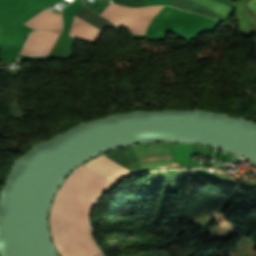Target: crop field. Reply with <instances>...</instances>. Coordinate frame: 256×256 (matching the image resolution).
Masks as SVG:
<instances>
[{"label": "crop field", "mask_w": 256, "mask_h": 256, "mask_svg": "<svg viewBox=\"0 0 256 256\" xmlns=\"http://www.w3.org/2000/svg\"><path fill=\"white\" fill-rule=\"evenodd\" d=\"M111 184L81 166L61 187L50 222L55 245L62 256L100 253L91 234L89 215L95 201Z\"/></svg>", "instance_id": "obj_1"}, {"label": "crop field", "mask_w": 256, "mask_h": 256, "mask_svg": "<svg viewBox=\"0 0 256 256\" xmlns=\"http://www.w3.org/2000/svg\"><path fill=\"white\" fill-rule=\"evenodd\" d=\"M105 156L134 173L143 171L131 147L110 152L105 154ZM105 156L101 155L82 166L94 171L110 182L113 179L130 172Z\"/></svg>", "instance_id": "obj_2"}, {"label": "crop field", "mask_w": 256, "mask_h": 256, "mask_svg": "<svg viewBox=\"0 0 256 256\" xmlns=\"http://www.w3.org/2000/svg\"><path fill=\"white\" fill-rule=\"evenodd\" d=\"M144 170L172 167V143L132 146Z\"/></svg>", "instance_id": "obj_3"}, {"label": "crop field", "mask_w": 256, "mask_h": 256, "mask_svg": "<svg viewBox=\"0 0 256 256\" xmlns=\"http://www.w3.org/2000/svg\"><path fill=\"white\" fill-rule=\"evenodd\" d=\"M161 7L162 6H151L148 11L146 10L147 12L129 32L130 35L144 34L148 23ZM131 10L132 8L110 3L99 15L112 21L115 25H118Z\"/></svg>", "instance_id": "obj_4"}, {"label": "crop field", "mask_w": 256, "mask_h": 256, "mask_svg": "<svg viewBox=\"0 0 256 256\" xmlns=\"http://www.w3.org/2000/svg\"><path fill=\"white\" fill-rule=\"evenodd\" d=\"M57 36V33L49 31H34L30 34L22 53L27 55L45 56L48 54Z\"/></svg>", "instance_id": "obj_5"}, {"label": "crop field", "mask_w": 256, "mask_h": 256, "mask_svg": "<svg viewBox=\"0 0 256 256\" xmlns=\"http://www.w3.org/2000/svg\"><path fill=\"white\" fill-rule=\"evenodd\" d=\"M24 24L34 29H57L62 27L60 14L48 7Z\"/></svg>", "instance_id": "obj_6"}, {"label": "crop field", "mask_w": 256, "mask_h": 256, "mask_svg": "<svg viewBox=\"0 0 256 256\" xmlns=\"http://www.w3.org/2000/svg\"><path fill=\"white\" fill-rule=\"evenodd\" d=\"M100 33L101 32L91 27L77 16H74V20L69 33L70 36L95 44Z\"/></svg>", "instance_id": "obj_7"}, {"label": "crop field", "mask_w": 256, "mask_h": 256, "mask_svg": "<svg viewBox=\"0 0 256 256\" xmlns=\"http://www.w3.org/2000/svg\"><path fill=\"white\" fill-rule=\"evenodd\" d=\"M203 6H206L222 15H225L229 10L230 8L214 1V0H193Z\"/></svg>", "instance_id": "obj_8"}, {"label": "crop field", "mask_w": 256, "mask_h": 256, "mask_svg": "<svg viewBox=\"0 0 256 256\" xmlns=\"http://www.w3.org/2000/svg\"><path fill=\"white\" fill-rule=\"evenodd\" d=\"M252 11L256 14V0H251L248 4H247Z\"/></svg>", "instance_id": "obj_9"}, {"label": "crop field", "mask_w": 256, "mask_h": 256, "mask_svg": "<svg viewBox=\"0 0 256 256\" xmlns=\"http://www.w3.org/2000/svg\"><path fill=\"white\" fill-rule=\"evenodd\" d=\"M96 256H100V255L98 254V255H96Z\"/></svg>", "instance_id": "obj_10"}]
</instances>
